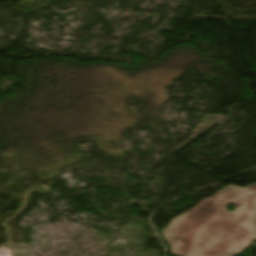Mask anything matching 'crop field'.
<instances>
[{"mask_svg": "<svg viewBox=\"0 0 256 256\" xmlns=\"http://www.w3.org/2000/svg\"><path fill=\"white\" fill-rule=\"evenodd\" d=\"M255 217L256 193L230 185L174 219L164 236L175 256H233L256 238Z\"/></svg>", "mask_w": 256, "mask_h": 256, "instance_id": "obj_1", "label": "crop field"}, {"mask_svg": "<svg viewBox=\"0 0 256 256\" xmlns=\"http://www.w3.org/2000/svg\"><path fill=\"white\" fill-rule=\"evenodd\" d=\"M245 189H249V190H252V191H255V192H256V183L253 184V185H250V186L246 187Z\"/></svg>", "mask_w": 256, "mask_h": 256, "instance_id": "obj_2", "label": "crop field"}]
</instances>
